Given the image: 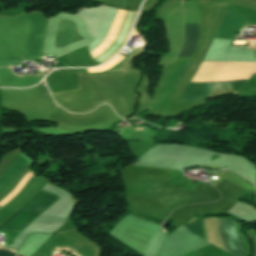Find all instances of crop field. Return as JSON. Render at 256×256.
<instances>
[{
	"label": "crop field",
	"mask_w": 256,
	"mask_h": 256,
	"mask_svg": "<svg viewBox=\"0 0 256 256\" xmlns=\"http://www.w3.org/2000/svg\"><path fill=\"white\" fill-rule=\"evenodd\" d=\"M0 249H5V250H8V251L16 253V251H13L11 249L5 248L3 246H0ZM8 251L0 250V256H14V253H11V252H8Z\"/></svg>",
	"instance_id": "crop-field-10"
},
{
	"label": "crop field",
	"mask_w": 256,
	"mask_h": 256,
	"mask_svg": "<svg viewBox=\"0 0 256 256\" xmlns=\"http://www.w3.org/2000/svg\"><path fill=\"white\" fill-rule=\"evenodd\" d=\"M238 88H234V89H230V90H225V91L211 92L209 97H208V99L209 98H213V97H218V96L230 94V93H232L233 91H235Z\"/></svg>",
	"instance_id": "crop-field-9"
},
{
	"label": "crop field",
	"mask_w": 256,
	"mask_h": 256,
	"mask_svg": "<svg viewBox=\"0 0 256 256\" xmlns=\"http://www.w3.org/2000/svg\"><path fill=\"white\" fill-rule=\"evenodd\" d=\"M26 166L27 161L24 160L22 157L18 156L0 180V193L20 174V172ZM32 175L33 174L29 171L18 183V185L14 188V190L5 199L0 201V206L4 205L9 200H11L15 196V194L20 191V189Z\"/></svg>",
	"instance_id": "crop-field-5"
},
{
	"label": "crop field",
	"mask_w": 256,
	"mask_h": 256,
	"mask_svg": "<svg viewBox=\"0 0 256 256\" xmlns=\"http://www.w3.org/2000/svg\"><path fill=\"white\" fill-rule=\"evenodd\" d=\"M225 219V218H224ZM186 229L191 232L192 234L200 237L204 240L203 232H202V219L201 218H194L190 222L184 225ZM225 227L227 230V234L231 243V246L233 248V256H243L244 253V245L237 233L236 227H235V221L231 220L229 218L225 219ZM218 230L219 234L222 240V244L224 247L225 252L231 255L230 253V246L224 231L223 227V218H218Z\"/></svg>",
	"instance_id": "crop-field-3"
},
{
	"label": "crop field",
	"mask_w": 256,
	"mask_h": 256,
	"mask_svg": "<svg viewBox=\"0 0 256 256\" xmlns=\"http://www.w3.org/2000/svg\"><path fill=\"white\" fill-rule=\"evenodd\" d=\"M142 0H126V8L130 10H138Z\"/></svg>",
	"instance_id": "crop-field-8"
},
{
	"label": "crop field",
	"mask_w": 256,
	"mask_h": 256,
	"mask_svg": "<svg viewBox=\"0 0 256 256\" xmlns=\"http://www.w3.org/2000/svg\"><path fill=\"white\" fill-rule=\"evenodd\" d=\"M57 198L40 190L31 200L18 209L12 217L2 223L0 228L14 231L21 230Z\"/></svg>",
	"instance_id": "crop-field-2"
},
{
	"label": "crop field",
	"mask_w": 256,
	"mask_h": 256,
	"mask_svg": "<svg viewBox=\"0 0 256 256\" xmlns=\"http://www.w3.org/2000/svg\"><path fill=\"white\" fill-rule=\"evenodd\" d=\"M256 63L202 62L193 79L250 80ZM248 81L191 80L180 100L205 101L211 91L241 86Z\"/></svg>",
	"instance_id": "crop-field-1"
},
{
	"label": "crop field",
	"mask_w": 256,
	"mask_h": 256,
	"mask_svg": "<svg viewBox=\"0 0 256 256\" xmlns=\"http://www.w3.org/2000/svg\"><path fill=\"white\" fill-rule=\"evenodd\" d=\"M124 58L125 57L118 54L115 58H113L112 60H110L106 64L101 65V66L96 67V68H92L91 71H92V73L104 71L106 69H109V68L115 66L118 62H120Z\"/></svg>",
	"instance_id": "crop-field-7"
},
{
	"label": "crop field",
	"mask_w": 256,
	"mask_h": 256,
	"mask_svg": "<svg viewBox=\"0 0 256 256\" xmlns=\"http://www.w3.org/2000/svg\"><path fill=\"white\" fill-rule=\"evenodd\" d=\"M190 59H191V58H189V60H188V62H187V64H186V66H185V68H184V70H183V72H182V74H181V76H180V78H179V80L181 79L183 73H184L185 70L187 69V67H188V65H189V62H190ZM179 80H178V82H179ZM178 82H177V84H178ZM177 84H176V86H177ZM174 86H175V85H174ZM176 86H175V88H176ZM173 88H174V87H173Z\"/></svg>",
	"instance_id": "crop-field-11"
},
{
	"label": "crop field",
	"mask_w": 256,
	"mask_h": 256,
	"mask_svg": "<svg viewBox=\"0 0 256 256\" xmlns=\"http://www.w3.org/2000/svg\"><path fill=\"white\" fill-rule=\"evenodd\" d=\"M125 12L126 11L121 10V9L118 10V12L114 18L112 27H111L108 35L106 36V38L104 39V41L101 43V45L97 49L90 52L91 57L93 59L95 57H97L101 52H103L107 47H109L114 42Z\"/></svg>",
	"instance_id": "crop-field-6"
},
{
	"label": "crop field",
	"mask_w": 256,
	"mask_h": 256,
	"mask_svg": "<svg viewBox=\"0 0 256 256\" xmlns=\"http://www.w3.org/2000/svg\"><path fill=\"white\" fill-rule=\"evenodd\" d=\"M176 38L178 57H192L198 42V25L178 23Z\"/></svg>",
	"instance_id": "crop-field-4"
}]
</instances>
